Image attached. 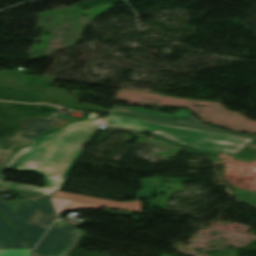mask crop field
<instances>
[{"mask_svg":"<svg viewBox=\"0 0 256 256\" xmlns=\"http://www.w3.org/2000/svg\"><path fill=\"white\" fill-rule=\"evenodd\" d=\"M162 180L163 178L159 176L139 180L144 190L135 192L137 199L153 196V189L161 187Z\"/></svg>","mask_w":256,"mask_h":256,"instance_id":"crop-field-10","label":"crop field"},{"mask_svg":"<svg viewBox=\"0 0 256 256\" xmlns=\"http://www.w3.org/2000/svg\"><path fill=\"white\" fill-rule=\"evenodd\" d=\"M53 196L62 198V199H67V200L86 202V203L95 204V205L104 206V207H114V208H119V209L131 211V212L142 213L139 201L118 203L113 201H107V200L69 194L61 191H58Z\"/></svg>","mask_w":256,"mask_h":256,"instance_id":"crop-field-8","label":"crop field"},{"mask_svg":"<svg viewBox=\"0 0 256 256\" xmlns=\"http://www.w3.org/2000/svg\"><path fill=\"white\" fill-rule=\"evenodd\" d=\"M81 208H101L80 202H72L51 197L43 208L32 219L21 233L23 237L33 246L37 244L43 234L62 210Z\"/></svg>","mask_w":256,"mask_h":256,"instance_id":"crop-field-4","label":"crop field"},{"mask_svg":"<svg viewBox=\"0 0 256 256\" xmlns=\"http://www.w3.org/2000/svg\"><path fill=\"white\" fill-rule=\"evenodd\" d=\"M80 106L96 109V112H102V113L109 112L108 110H104L98 106L85 105V104H80ZM112 111L134 113V114H136L140 117H143L145 119L157 121V122H163V123H168V124H174V125L199 128V129H205V130H211V131H217V132H223V133H229V134H235V135L256 138V136H252V135L233 133V132H228V131H224V130H220V129H216V128L207 126V125L201 123L200 121H198L197 119H195L192 116V114L185 109H183L173 115L159 113V112L145 110V109L119 107V106H114Z\"/></svg>","mask_w":256,"mask_h":256,"instance_id":"crop-field-6","label":"crop field"},{"mask_svg":"<svg viewBox=\"0 0 256 256\" xmlns=\"http://www.w3.org/2000/svg\"><path fill=\"white\" fill-rule=\"evenodd\" d=\"M101 121L109 126L154 133L172 143L197 151L216 155L222 152L247 162L256 159V149L247 146L256 145L255 139L147 122L134 115L119 113H112Z\"/></svg>","mask_w":256,"mask_h":256,"instance_id":"crop-field-2","label":"crop field"},{"mask_svg":"<svg viewBox=\"0 0 256 256\" xmlns=\"http://www.w3.org/2000/svg\"><path fill=\"white\" fill-rule=\"evenodd\" d=\"M98 120L71 121L63 129L50 130L24 149L15 152L0 171V186L52 196L61 190L73 164L82 154V145ZM75 165V164H74ZM11 168L21 173H37L45 177L43 188L7 182L1 175Z\"/></svg>","mask_w":256,"mask_h":256,"instance_id":"crop-field-1","label":"crop field"},{"mask_svg":"<svg viewBox=\"0 0 256 256\" xmlns=\"http://www.w3.org/2000/svg\"><path fill=\"white\" fill-rule=\"evenodd\" d=\"M0 243L4 247H29L1 213Z\"/></svg>","mask_w":256,"mask_h":256,"instance_id":"crop-field-9","label":"crop field"},{"mask_svg":"<svg viewBox=\"0 0 256 256\" xmlns=\"http://www.w3.org/2000/svg\"><path fill=\"white\" fill-rule=\"evenodd\" d=\"M0 247H2V246L0 245Z\"/></svg>","mask_w":256,"mask_h":256,"instance_id":"crop-field-14","label":"crop field"},{"mask_svg":"<svg viewBox=\"0 0 256 256\" xmlns=\"http://www.w3.org/2000/svg\"><path fill=\"white\" fill-rule=\"evenodd\" d=\"M49 115V119L41 117H19L20 127L16 129L13 136L0 138V145L5 149L16 150L28 145L49 128H61L72 118L54 112H49Z\"/></svg>","mask_w":256,"mask_h":256,"instance_id":"crop-field-3","label":"crop field"},{"mask_svg":"<svg viewBox=\"0 0 256 256\" xmlns=\"http://www.w3.org/2000/svg\"><path fill=\"white\" fill-rule=\"evenodd\" d=\"M81 233L64 221H57L35 250L39 256H69L80 241ZM74 237H77L75 241Z\"/></svg>","mask_w":256,"mask_h":256,"instance_id":"crop-field-5","label":"crop field"},{"mask_svg":"<svg viewBox=\"0 0 256 256\" xmlns=\"http://www.w3.org/2000/svg\"><path fill=\"white\" fill-rule=\"evenodd\" d=\"M12 152L14 151L0 149V167Z\"/></svg>","mask_w":256,"mask_h":256,"instance_id":"crop-field-12","label":"crop field"},{"mask_svg":"<svg viewBox=\"0 0 256 256\" xmlns=\"http://www.w3.org/2000/svg\"><path fill=\"white\" fill-rule=\"evenodd\" d=\"M20 249H0V256H19Z\"/></svg>","mask_w":256,"mask_h":256,"instance_id":"crop-field-11","label":"crop field"},{"mask_svg":"<svg viewBox=\"0 0 256 256\" xmlns=\"http://www.w3.org/2000/svg\"><path fill=\"white\" fill-rule=\"evenodd\" d=\"M20 256H31V250L30 249H21Z\"/></svg>","mask_w":256,"mask_h":256,"instance_id":"crop-field-13","label":"crop field"},{"mask_svg":"<svg viewBox=\"0 0 256 256\" xmlns=\"http://www.w3.org/2000/svg\"><path fill=\"white\" fill-rule=\"evenodd\" d=\"M6 191L15 192L22 196H28L25 201H2L0 199L1 211L21 233L49 198L32 193L0 188V192Z\"/></svg>","mask_w":256,"mask_h":256,"instance_id":"crop-field-7","label":"crop field"}]
</instances>
